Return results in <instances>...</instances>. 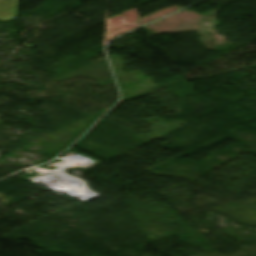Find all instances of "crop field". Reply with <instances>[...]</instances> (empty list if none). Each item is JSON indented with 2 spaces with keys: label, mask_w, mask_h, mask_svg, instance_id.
Wrapping results in <instances>:
<instances>
[{
  "label": "crop field",
  "mask_w": 256,
  "mask_h": 256,
  "mask_svg": "<svg viewBox=\"0 0 256 256\" xmlns=\"http://www.w3.org/2000/svg\"><path fill=\"white\" fill-rule=\"evenodd\" d=\"M18 0H0V20L10 21L16 17Z\"/></svg>",
  "instance_id": "crop-field-1"
}]
</instances>
